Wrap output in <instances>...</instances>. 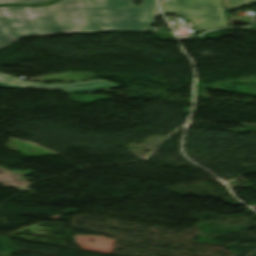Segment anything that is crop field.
I'll list each match as a JSON object with an SVG mask.
<instances>
[{"instance_id": "obj_2", "label": "crop field", "mask_w": 256, "mask_h": 256, "mask_svg": "<svg viewBox=\"0 0 256 256\" xmlns=\"http://www.w3.org/2000/svg\"><path fill=\"white\" fill-rule=\"evenodd\" d=\"M162 12L180 15L192 20L197 31L210 30L226 25L221 0H159Z\"/></svg>"}, {"instance_id": "obj_5", "label": "crop field", "mask_w": 256, "mask_h": 256, "mask_svg": "<svg viewBox=\"0 0 256 256\" xmlns=\"http://www.w3.org/2000/svg\"><path fill=\"white\" fill-rule=\"evenodd\" d=\"M49 0H0L1 3H45Z\"/></svg>"}, {"instance_id": "obj_1", "label": "crop field", "mask_w": 256, "mask_h": 256, "mask_svg": "<svg viewBox=\"0 0 256 256\" xmlns=\"http://www.w3.org/2000/svg\"><path fill=\"white\" fill-rule=\"evenodd\" d=\"M58 0L48 6L0 7V49L38 35L146 32L158 15L155 0Z\"/></svg>"}, {"instance_id": "obj_3", "label": "crop field", "mask_w": 256, "mask_h": 256, "mask_svg": "<svg viewBox=\"0 0 256 256\" xmlns=\"http://www.w3.org/2000/svg\"><path fill=\"white\" fill-rule=\"evenodd\" d=\"M117 86L119 85L109 83V82H104L103 80L59 84V85H47V84H39V83L22 81L16 77L0 73V87H4V88H43V89H56V90L61 89L68 93H76V92L115 88Z\"/></svg>"}, {"instance_id": "obj_4", "label": "crop field", "mask_w": 256, "mask_h": 256, "mask_svg": "<svg viewBox=\"0 0 256 256\" xmlns=\"http://www.w3.org/2000/svg\"><path fill=\"white\" fill-rule=\"evenodd\" d=\"M226 9H232L251 3H255L256 0H223Z\"/></svg>"}]
</instances>
